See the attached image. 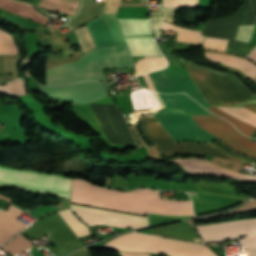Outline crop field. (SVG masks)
I'll return each mask as SVG.
<instances>
[{"mask_svg": "<svg viewBox=\"0 0 256 256\" xmlns=\"http://www.w3.org/2000/svg\"><path fill=\"white\" fill-rule=\"evenodd\" d=\"M86 26L96 48L76 62L47 69V84L105 80L101 69L134 66L116 15H102Z\"/></svg>", "mask_w": 256, "mask_h": 256, "instance_id": "8a807250", "label": "crop field"}, {"mask_svg": "<svg viewBox=\"0 0 256 256\" xmlns=\"http://www.w3.org/2000/svg\"><path fill=\"white\" fill-rule=\"evenodd\" d=\"M71 202L145 214L193 215L191 201L160 199L155 191L139 189L118 192L84 183L73 178Z\"/></svg>", "mask_w": 256, "mask_h": 256, "instance_id": "ac0d7876", "label": "crop field"}, {"mask_svg": "<svg viewBox=\"0 0 256 256\" xmlns=\"http://www.w3.org/2000/svg\"><path fill=\"white\" fill-rule=\"evenodd\" d=\"M179 58L210 106L236 107L256 102L231 74L221 73Z\"/></svg>", "mask_w": 256, "mask_h": 256, "instance_id": "34b2d1b8", "label": "crop field"}, {"mask_svg": "<svg viewBox=\"0 0 256 256\" xmlns=\"http://www.w3.org/2000/svg\"><path fill=\"white\" fill-rule=\"evenodd\" d=\"M159 95L169 113L155 115V117L175 142L181 140L205 141L217 139L202 130L188 115L210 114L199 104L184 94Z\"/></svg>", "mask_w": 256, "mask_h": 256, "instance_id": "412701ff", "label": "crop field"}, {"mask_svg": "<svg viewBox=\"0 0 256 256\" xmlns=\"http://www.w3.org/2000/svg\"><path fill=\"white\" fill-rule=\"evenodd\" d=\"M103 248L133 252H154L172 256H217L198 243L130 232L108 241Z\"/></svg>", "mask_w": 256, "mask_h": 256, "instance_id": "f4fd0767", "label": "crop field"}, {"mask_svg": "<svg viewBox=\"0 0 256 256\" xmlns=\"http://www.w3.org/2000/svg\"><path fill=\"white\" fill-rule=\"evenodd\" d=\"M247 24H256V0H245L244 5L234 15L206 22L202 34L229 39L227 52L247 56L255 45L234 40L239 25Z\"/></svg>", "mask_w": 256, "mask_h": 256, "instance_id": "dd49c442", "label": "crop field"}, {"mask_svg": "<svg viewBox=\"0 0 256 256\" xmlns=\"http://www.w3.org/2000/svg\"><path fill=\"white\" fill-rule=\"evenodd\" d=\"M0 185L70 198L71 178L0 166Z\"/></svg>", "mask_w": 256, "mask_h": 256, "instance_id": "e52e79f7", "label": "crop field"}, {"mask_svg": "<svg viewBox=\"0 0 256 256\" xmlns=\"http://www.w3.org/2000/svg\"><path fill=\"white\" fill-rule=\"evenodd\" d=\"M141 126L145 137L154 142L158 150L166 155H174L180 153H201L220 158L234 159L223 153L221 150L217 149L211 143H175L154 116H143L141 120Z\"/></svg>", "mask_w": 256, "mask_h": 256, "instance_id": "d8731c3e", "label": "crop field"}, {"mask_svg": "<svg viewBox=\"0 0 256 256\" xmlns=\"http://www.w3.org/2000/svg\"><path fill=\"white\" fill-rule=\"evenodd\" d=\"M204 242H217L221 240L241 238L246 235L256 234V219L228 222L197 227ZM246 246L248 256H256V235L240 239Z\"/></svg>", "mask_w": 256, "mask_h": 256, "instance_id": "5a996713", "label": "crop field"}, {"mask_svg": "<svg viewBox=\"0 0 256 256\" xmlns=\"http://www.w3.org/2000/svg\"><path fill=\"white\" fill-rule=\"evenodd\" d=\"M200 127L220 138L232 149L256 158V142L240 134L234 126L214 115H191Z\"/></svg>", "mask_w": 256, "mask_h": 256, "instance_id": "3316defc", "label": "crop field"}, {"mask_svg": "<svg viewBox=\"0 0 256 256\" xmlns=\"http://www.w3.org/2000/svg\"><path fill=\"white\" fill-rule=\"evenodd\" d=\"M80 0H39L35 7H42L61 12L73 16L79 8ZM0 6L17 13L30 20L44 25L50 19L35 11L33 7L28 4L13 0H0Z\"/></svg>", "mask_w": 256, "mask_h": 256, "instance_id": "28ad6ade", "label": "crop field"}, {"mask_svg": "<svg viewBox=\"0 0 256 256\" xmlns=\"http://www.w3.org/2000/svg\"><path fill=\"white\" fill-rule=\"evenodd\" d=\"M71 209L79 218L91 226L105 224L106 220L115 213L113 211L85 208L72 204ZM106 224L141 228L148 226V217L116 212L107 220Z\"/></svg>", "mask_w": 256, "mask_h": 256, "instance_id": "d1516ede", "label": "crop field"}, {"mask_svg": "<svg viewBox=\"0 0 256 256\" xmlns=\"http://www.w3.org/2000/svg\"><path fill=\"white\" fill-rule=\"evenodd\" d=\"M149 75L157 91L164 93L186 92L205 108L209 107L187 72L162 70Z\"/></svg>", "mask_w": 256, "mask_h": 256, "instance_id": "22f410ed", "label": "crop field"}, {"mask_svg": "<svg viewBox=\"0 0 256 256\" xmlns=\"http://www.w3.org/2000/svg\"><path fill=\"white\" fill-rule=\"evenodd\" d=\"M39 91L46 96H58L77 103H87L107 93L102 82H81L56 87L40 86Z\"/></svg>", "mask_w": 256, "mask_h": 256, "instance_id": "cbeb9de0", "label": "crop field"}, {"mask_svg": "<svg viewBox=\"0 0 256 256\" xmlns=\"http://www.w3.org/2000/svg\"><path fill=\"white\" fill-rule=\"evenodd\" d=\"M172 160L179 163L185 169L186 172L225 176V177H231V178H237V179L256 182V176L254 175L240 174L237 172L214 167L210 164L209 161H206V160H200L195 158L172 159Z\"/></svg>", "mask_w": 256, "mask_h": 256, "instance_id": "5142ce71", "label": "crop field"}, {"mask_svg": "<svg viewBox=\"0 0 256 256\" xmlns=\"http://www.w3.org/2000/svg\"><path fill=\"white\" fill-rule=\"evenodd\" d=\"M21 211L13 205H10L7 212L0 211V244L26 228V225L16 220Z\"/></svg>", "mask_w": 256, "mask_h": 256, "instance_id": "d9b57169", "label": "crop field"}, {"mask_svg": "<svg viewBox=\"0 0 256 256\" xmlns=\"http://www.w3.org/2000/svg\"><path fill=\"white\" fill-rule=\"evenodd\" d=\"M155 235L198 241V234L193 225L179 223L151 229ZM201 241V240H200Z\"/></svg>", "mask_w": 256, "mask_h": 256, "instance_id": "733c2abd", "label": "crop field"}, {"mask_svg": "<svg viewBox=\"0 0 256 256\" xmlns=\"http://www.w3.org/2000/svg\"><path fill=\"white\" fill-rule=\"evenodd\" d=\"M125 39L132 56H162L151 36Z\"/></svg>", "mask_w": 256, "mask_h": 256, "instance_id": "4a817a6b", "label": "crop field"}, {"mask_svg": "<svg viewBox=\"0 0 256 256\" xmlns=\"http://www.w3.org/2000/svg\"><path fill=\"white\" fill-rule=\"evenodd\" d=\"M205 58L208 60L218 61L220 63L228 64L235 66L245 73H247L251 78L255 79L256 77V65L251 64L248 60L239 58L236 56L223 55L213 52H204Z\"/></svg>", "mask_w": 256, "mask_h": 256, "instance_id": "bc2a9ffb", "label": "crop field"}, {"mask_svg": "<svg viewBox=\"0 0 256 256\" xmlns=\"http://www.w3.org/2000/svg\"><path fill=\"white\" fill-rule=\"evenodd\" d=\"M131 100L135 110L161 107L153 91L145 88L134 90Z\"/></svg>", "mask_w": 256, "mask_h": 256, "instance_id": "214f88e0", "label": "crop field"}, {"mask_svg": "<svg viewBox=\"0 0 256 256\" xmlns=\"http://www.w3.org/2000/svg\"><path fill=\"white\" fill-rule=\"evenodd\" d=\"M125 36L151 35L148 19H118Z\"/></svg>", "mask_w": 256, "mask_h": 256, "instance_id": "92a150f3", "label": "crop field"}, {"mask_svg": "<svg viewBox=\"0 0 256 256\" xmlns=\"http://www.w3.org/2000/svg\"><path fill=\"white\" fill-rule=\"evenodd\" d=\"M199 192L244 199L247 196L237 193L235 187L226 184L195 183Z\"/></svg>", "mask_w": 256, "mask_h": 256, "instance_id": "dafd665d", "label": "crop field"}, {"mask_svg": "<svg viewBox=\"0 0 256 256\" xmlns=\"http://www.w3.org/2000/svg\"><path fill=\"white\" fill-rule=\"evenodd\" d=\"M162 29L178 31L177 41H180V42L198 44L202 42V40L204 39V36L201 35L202 32L184 29L164 21L162 24Z\"/></svg>", "mask_w": 256, "mask_h": 256, "instance_id": "00972430", "label": "crop field"}, {"mask_svg": "<svg viewBox=\"0 0 256 256\" xmlns=\"http://www.w3.org/2000/svg\"><path fill=\"white\" fill-rule=\"evenodd\" d=\"M174 9H162L161 12H152L151 24L154 33V38L157 39L161 35L162 20L173 21Z\"/></svg>", "mask_w": 256, "mask_h": 256, "instance_id": "a9b5d70f", "label": "crop field"}, {"mask_svg": "<svg viewBox=\"0 0 256 256\" xmlns=\"http://www.w3.org/2000/svg\"><path fill=\"white\" fill-rule=\"evenodd\" d=\"M60 216L67 222L78 237L90 234L88 228L83 225L73 214L67 209L58 212Z\"/></svg>", "mask_w": 256, "mask_h": 256, "instance_id": "4177f3b9", "label": "crop field"}, {"mask_svg": "<svg viewBox=\"0 0 256 256\" xmlns=\"http://www.w3.org/2000/svg\"><path fill=\"white\" fill-rule=\"evenodd\" d=\"M207 109L210 110L211 112H213L214 114H216V115H218V116H220V117L230 121L232 124H234L237 127V129L241 133H243V134H245L247 136L251 137L252 133L255 130V127H252L250 125H247V124L239 121L238 119H236V118L226 114L225 112L221 111L220 109H218L216 107H209Z\"/></svg>", "mask_w": 256, "mask_h": 256, "instance_id": "730fd06b", "label": "crop field"}, {"mask_svg": "<svg viewBox=\"0 0 256 256\" xmlns=\"http://www.w3.org/2000/svg\"><path fill=\"white\" fill-rule=\"evenodd\" d=\"M218 108L256 127V113H253L250 110L243 107H240V108L218 107Z\"/></svg>", "mask_w": 256, "mask_h": 256, "instance_id": "eef30255", "label": "crop field"}, {"mask_svg": "<svg viewBox=\"0 0 256 256\" xmlns=\"http://www.w3.org/2000/svg\"><path fill=\"white\" fill-rule=\"evenodd\" d=\"M31 243L19 234L4 247L13 254H19L31 247L33 245Z\"/></svg>", "mask_w": 256, "mask_h": 256, "instance_id": "ae1a2a85", "label": "crop field"}, {"mask_svg": "<svg viewBox=\"0 0 256 256\" xmlns=\"http://www.w3.org/2000/svg\"><path fill=\"white\" fill-rule=\"evenodd\" d=\"M17 52L13 37L0 30V54H16Z\"/></svg>", "mask_w": 256, "mask_h": 256, "instance_id": "d3111659", "label": "crop field"}, {"mask_svg": "<svg viewBox=\"0 0 256 256\" xmlns=\"http://www.w3.org/2000/svg\"><path fill=\"white\" fill-rule=\"evenodd\" d=\"M84 53L95 48L86 26L74 30Z\"/></svg>", "mask_w": 256, "mask_h": 256, "instance_id": "750c4746", "label": "crop field"}, {"mask_svg": "<svg viewBox=\"0 0 256 256\" xmlns=\"http://www.w3.org/2000/svg\"><path fill=\"white\" fill-rule=\"evenodd\" d=\"M0 92L5 94H19L25 95L26 89L24 88V81L21 79L17 82L9 83L0 86Z\"/></svg>", "mask_w": 256, "mask_h": 256, "instance_id": "bd1437ed", "label": "crop field"}, {"mask_svg": "<svg viewBox=\"0 0 256 256\" xmlns=\"http://www.w3.org/2000/svg\"><path fill=\"white\" fill-rule=\"evenodd\" d=\"M198 6V0H163L162 8H183Z\"/></svg>", "mask_w": 256, "mask_h": 256, "instance_id": "1d83c4d3", "label": "crop field"}, {"mask_svg": "<svg viewBox=\"0 0 256 256\" xmlns=\"http://www.w3.org/2000/svg\"><path fill=\"white\" fill-rule=\"evenodd\" d=\"M228 40L216 39V38H207L203 42V46L206 48H212L217 50L225 51Z\"/></svg>", "mask_w": 256, "mask_h": 256, "instance_id": "120bbe31", "label": "crop field"}, {"mask_svg": "<svg viewBox=\"0 0 256 256\" xmlns=\"http://www.w3.org/2000/svg\"><path fill=\"white\" fill-rule=\"evenodd\" d=\"M253 26L254 25L240 26L235 39L248 42L253 32Z\"/></svg>", "mask_w": 256, "mask_h": 256, "instance_id": "d32e631a", "label": "crop field"}, {"mask_svg": "<svg viewBox=\"0 0 256 256\" xmlns=\"http://www.w3.org/2000/svg\"><path fill=\"white\" fill-rule=\"evenodd\" d=\"M251 210H256V201H249L245 205H243L233 211H230L228 213L216 214V215H212V216H208V217L221 216V215H227V214L234 213V212H244V211H251ZM208 217L199 218L198 220L208 218Z\"/></svg>", "mask_w": 256, "mask_h": 256, "instance_id": "5866460e", "label": "crop field"}, {"mask_svg": "<svg viewBox=\"0 0 256 256\" xmlns=\"http://www.w3.org/2000/svg\"><path fill=\"white\" fill-rule=\"evenodd\" d=\"M213 144L216 145L217 147L221 148L224 152H226L227 154H229L233 157H237V158H240V159L251 160V161H256V159L249 158V157H246L244 155H241V154H238V153L234 152L233 150H231L229 147H227L225 144H223L220 141L213 142Z\"/></svg>", "mask_w": 256, "mask_h": 256, "instance_id": "028f5c9d", "label": "crop field"}, {"mask_svg": "<svg viewBox=\"0 0 256 256\" xmlns=\"http://www.w3.org/2000/svg\"><path fill=\"white\" fill-rule=\"evenodd\" d=\"M120 2L122 0H106L102 14H116Z\"/></svg>", "mask_w": 256, "mask_h": 256, "instance_id": "e1f06a70", "label": "crop field"}, {"mask_svg": "<svg viewBox=\"0 0 256 256\" xmlns=\"http://www.w3.org/2000/svg\"><path fill=\"white\" fill-rule=\"evenodd\" d=\"M11 202L10 198L0 195V210H6V207Z\"/></svg>", "mask_w": 256, "mask_h": 256, "instance_id": "0bd39190", "label": "crop field"}, {"mask_svg": "<svg viewBox=\"0 0 256 256\" xmlns=\"http://www.w3.org/2000/svg\"><path fill=\"white\" fill-rule=\"evenodd\" d=\"M70 256H91V255L87 251V247H85L84 249H82L78 252H75V253L71 254Z\"/></svg>", "mask_w": 256, "mask_h": 256, "instance_id": "b80d0937", "label": "crop field"}, {"mask_svg": "<svg viewBox=\"0 0 256 256\" xmlns=\"http://www.w3.org/2000/svg\"><path fill=\"white\" fill-rule=\"evenodd\" d=\"M143 76H144V78H145V80H146V83H147L148 87H149L150 89L155 90V88H154V86H153V84H152V81H151L149 75L146 74V75H143ZM155 91H156V90H155Z\"/></svg>", "mask_w": 256, "mask_h": 256, "instance_id": "c035e120", "label": "crop field"}, {"mask_svg": "<svg viewBox=\"0 0 256 256\" xmlns=\"http://www.w3.org/2000/svg\"><path fill=\"white\" fill-rule=\"evenodd\" d=\"M248 57H250L251 59H253L254 61H256V46H255L254 49L249 53Z\"/></svg>", "mask_w": 256, "mask_h": 256, "instance_id": "c21b1889", "label": "crop field"}, {"mask_svg": "<svg viewBox=\"0 0 256 256\" xmlns=\"http://www.w3.org/2000/svg\"><path fill=\"white\" fill-rule=\"evenodd\" d=\"M244 107H246V108H248V109H250V110L256 112V103L248 104V105H246V106H244Z\"/></svg>", "mask_w": 256, "mask_h": 256, "instance_id": "03da06ac", "label": "crop field"}, {"mask_svg": "<svg viewBox=\"0 0 256 256\" xmlns=\"http://www.w3.org/2000/svg\"><path fill=\"white\" fill-rule=\"evenodd\" d=\"M254 199H256V198H254Z\"/></svg>", "mask_w": 256, "mask_h": 256, "instance_id": "b54c1fbb", "label": "crop field"}]
</instances>
